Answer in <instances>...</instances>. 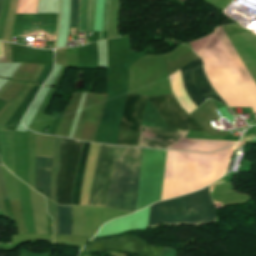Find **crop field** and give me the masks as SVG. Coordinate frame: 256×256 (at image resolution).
I'll use <instances>...</instances> for the list:
<instances>
[{
  "label": "crop field",
  "mask_w": 256,
  "mask_h": 256,
  "mask_svg": "<svg viewBox=\"0 0 256 256\" xmlns=\"http://www.w3.org/2000/svg\"><path fill=\"white\" fill-rule=\"evenodd\" d=\"M117 146H100L88 205H106ZM142 149L117 148L106 207L135 211ZM166 151L143 149L137 210L160 200Z\"/></svg>",
  "instance_id": "8a807250"
},
{
  "label": "crop field",
  "mask_w": 256,
  "mask_h": 256,
  "mask_svg": "<svg viewBox=\"0 0 256 256\" xmlns=\"http://www.w3.org/2000/svg\"><path fill=\"white\" fill-rule=\"evenodd\" d=\"M159 256H176V251L168 248H163Z\"/></svg>",
  "instance_id": "22f410ed"
},
{
  "label": "crop field",
  "mask_w": 256,
  "mask_h": 256,
  "mask_svg": "<svg viewBox=\"0 0 256 256\" xmlns=\"http://www.w3.org/2000/svg\"><path fill=\"white\" fill-rule=\"evenodd\" d=\"M1 210V209H0Z\"/></svg>",
  "instance_id": "bc2a9ffb"
},
{
  "label": "crop field",
  "mask_w": 256,
  "mask_h": 256,
  "mask_svg": "<svg viewBox=\"0 0 256 256\" xmlns=\"http://www.w3.org/2000/svg\"><path fill=\"white\" fill-rule=\"evenodd\" d=\"M13 133L14 131L0 128V145H1L2 163L12 173H14V157H13V148H12Z\"/></svg>",
  "instance_id": "e52e79f7"
},
{
  "label": "crop field",
  "mask_w": 256,
  "mask_h": 256,
  "mask_svg": "<svg viewBox=\"0 0 256 256\" xmlns=\"http://www.w3.org/2000/svg\"><path fill=\"white\" fill-rule=\"evenodd\" d=\"M91 251H81L79 256H90Z\"/></svg>",
  "instance_id": "d9b57169"
},
{
  "label": "crop field",
  "mask_w": 256,
  "mask_h": 256,
  "mask_svg": "<svg viewBox=\"0 0 256 256\" xmlns=\"http://www.w3.org/2000/svg\"><path fill=\"white\" fill-rule=\"evenodd\" d=\"M86 0H81L80 29L84 30ZM94 6L95 0H87L85 30L94 31Z\"/></svg>",
  "instance_id": "5a996713"
},
{
  "label": "crop field",
  "mask_w": 256,
  "mask_h": 256,
  "mask_svg": "<svg viewBox=\"0 0 256 256\" xmlns=\"http://www.w3.org/2000/svg\"><path fill=\"white\" fill-rule=\"evenodd\" d=\"M108 10H109V0H105V5H104V31H107Z\"/></svg>",
  "instance_id": "d1516ede"
},
{
  "label": "crop field",
  "mask_w": 256,
  "mask_h": 256,
  "mask_svg": "<svg viewBox=\"0 0 256 256\" xmlns=\"http://www.w3.org/2000/svg\"><path fill=\"white\" fill-rule=\"evenodd\" d=\"M2 5H3V0H0V13H1Z\"/></svg>",
  "instance_id": "733c2abd"
},
{
  "label": "crop field",
  "mask_w": 256,
  "mask_h": 256,
  "mask_svg": "<svg viewBox=\"0 0 256 256\" xmlns=\"http://www.w3.org/2000/svg\"><path fill=\"white\" fill-rule=\"evenodd\" d=\"M217 221L209 186L193 194L173 198L150 206L148 227L159 224L204 225Z\"/></svg>",
  "instance_id": "34b2d1b8"
},
{
  "label": "crop field",
  "mask_w": 256,
  "mask_h": 256,
  "mask_svg": "<svg viewBox=\"0 0 256 256\" xmlns=\"http://www.w3.org/2000/svg\"><path fill=\"white\" fill-rule=\"evenodd\" d=\"M58 234H68L71 231L72 212L71 206H58Z\"/></svg>",
  "instance_id": "3316defc"
},
{
  "label": "crop field",
  "mask_w": 256,
  "mask_h": 256,
  "mask_svg": "<svg viewBox=\"0 0 256 256\" xmlns=\"http://www.w3.org/2000/svg\"><path fill=\"white\" fill-rule=\"evenodd\" d=\"M79 0H72L70 27H78Z\"/></svg>",
  "instance_id": "28ad6ade"
},
{
  "label": "crop field",
  "mask_w": 256,
  "mask_h": 256,
  "mask_svg": "<svg viewBox=\"0 0 256 256\" xmlns=\"http://www.w3.org/2000/svg\"><path fill=\"white\" fill-rule=\"evenodd\" d=\"M89 145L90 143H87V142H84L83 144L79 165H78V170L76 174L74 189H73L72 204L80 205V190H81Z\"/></svg>",
  "instance_id": "d8731c3e"
},
{
  "label": "crop field",
  "mask_w": 256,
  "mask_h": 256,
  "mask_svg": "<svg viewBox=\"0 0 256 256\" xmlns=\"http://www.w3.org/2000/svg\"><path fill=\"white\" fill-rule=\"evenodd\" d=\"M49 254L50 253L39 255V254H36V253H32V252L22 250L19 256H49Z\"/></svg>",
  "instance_id": "5142ce71"
},
{
  "label": "crop field",
  "mask_w": 256,
  "mask_h": 256,
  "mask_svg": "<svg viewBox=\"0 0 256 256\" xmlns=\"http://www.w3.org/2000/svg\"><path fill=\"white\" fill-rule=\"evenodd\" d=\"M1 45H2V42H1ZM2 52H3V46H2ZM3 59H4V52H3ZM4 62H5V59H4Z\"/></svg>",
  "instance_id": "4a817a6b"
},
{
  "label": "crop field",
  "mask_w": 256,
  "mask_h": 256,
  "mask_svg": "<svg viewBox=\"0 0 256 256\" xmlns=\"http://www.w3.org/2000/svg\"><path fill=\"white\" fill-rule=\"evenodd\" d=\"M180 71L185 90L197 107L208 97L224 103L211 88L203 72L202 62L199 58L182 67Z\"/></svg>",
  "instance_id": "f4fd0767"
},
{
  "label": "crop field",
  "mask_w": 256,
  "mask_h": 256,
  "mask_svg": "<svg viewBox=\"0 0 256 256\" xmlns=\"http://www.w3.org/2000/svg\"><path fill=\"white\" fill-rule=\"evenodd\" d=\"M82 143L81 141L62 138L59 172L56 180V199L58 204L71 205V190Z\"/></svg>",
  "instance_id": "412701ff"
},
{
  "label": "crop field",
  "mask_w": 256,
  "mask_h": 256,
  "mask_svg": "<svg viewBox=\"0 0 256 256\" xmlns=\"http://www.w3.org/2000/svg\"><path fill=\"white\" fill-rule=\"evenodd\" d=\"M0 187H1V190H2L3 198L4 199L8 198L7 193H6V189H5V186H4L3 178H2L1 167H0Z\"/></svg>",
  "instance_id": "cbeb9de0"
},
{
  "label": "crop field",
  "mask_w": 256,
  "mask_h": 256,
  "mask_svg": "<svg viewBox=\"0 0 256 256\" xmlns=\"http://www.w3.org/2000/svg\"><path fill=\"white\" fill-rule=\"evenodd\" d=\"M147 98L168 128L204 131L180 108L173 94L153 96L127 94L117 144L137 146ZM178 129L141 127L138 146L169 149L184 139L188 131Z\"/></svg>",
  "instance_id": "ac0d7876"
},
{
  "label": "crop field",
  "mask_w": 256,
  "mask_h": 256,
  "mask_svg": "<svg viewBox=\"0 0 256 256\" xmlns=\"http://www.w3.org/2000/svg\"><path fill=\"white\" fill-rule=\"evenodd\" d=\"M51 167L52 158L36 157V188L44 189V194L49 197Z\"/></svg>",
  "instance_id": "dd49c442"
}]
</instances>
